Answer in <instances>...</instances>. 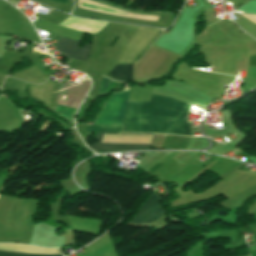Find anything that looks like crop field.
Listing matches in <instances>:
<instances>
[{
	"mask_svg": "<svg viewBox=\"0 0 256 256\" xmlns=\"http://www.w3.org/2000/svg\"><path fill=\"white\" fill-rule=\"evenodd\" d=\"M149 102H128L122 126L88 125L94 132H141ZM186 103L153 95L142 132L190 136L185 121Z\"/></svg>",
	"mask_w": 256,
	"mask_h": 256,
	"instance_id": "obj_1",
	"label": "crop field"
},
{
	"mask_svg": "<svg viewBox=\"0 0 256 256\" xmlns=\"http://www.w3.org/2000/svg\"><path fill=\"white\" fill-rule=\"evenodd\" d=\"M104 134H109V133H97L94 138L99 141L88 147H90L96 153H99V151H123V150L149 149L153 141V138L155 136L153 135L152 137V136H128V135H104ZM129 135H136V134H129ZM151 137H152V140H151ZM150 140H151V143H150ZM100 141L101 143H125V144H149L150 143V145L99 144Z\"/></svg>",
	"mask_w": 256,
	"mask_h": 256,
	"instance_id": "obj_2",
	"label": "crop field"
},
{
	"mask_svg": "<svg viewBox=\"0 0 256 256\" xmlns=\"http://www.w3.org/2000/svg\"><path fill=\"white\" fill-rule=\"evenodd\" d=\"M162 199L156 195L152 194L148 200L141 205L138 210L136 217L129 223V225L134 226H146L161 215L165 214V210L159 206V202Z\"/></svg>",
	"mask_w": 256,
	"mask_h": 256,
	"instance_id": "obj_3",
	"label": "crop field"
},
{
	"mask_svg": "<svg viewBox=\"0 0 256 256\" xmlns=\"http://www.w3.org/2000/svg\"><path fill=\"white\" fill-rule=\"evenodd\" d=\"M79 45H80V42L60 37L56 46V50L65 53L64 56L68 58L86 62L90 45L87 44L82 49L79 48Z\"/></svg>",
	"mask_w": 256,
	"mask_h": 256,
	"instance_id": "obj_4",
	"label": "crop field"
},
{
	"mask_svg": "<svg viewBox=\"0 0 256 256\" xmlns=\"http://www.w3.org/2000/svg\"><path fill=\"white\" fill-rule=\"evenodd\" d=\"M111 74L113 79L132 81V64L115 65Z\"/></svg>",
	"mask_w": 256,
	"mask_h": 256,
	"instance_id": "obj_5",
	"label": "crop field"
},
{
	"mask_svg": "<svg viewBox=\"0 0 256 256\" xmlns=\"http://www.w3.org/2000/svg\"><path fill=\"white\" fill-rule=\"evenodd\" d=\"M0 256H49V255L20 254V253H9V252L0 251Z\"/></svg>",
	"mask_w": 256,
	"mask_h": 256,
	"instance_id": "obj_6",
	"label": "crop field"
},
{
	"mask_svg": "<svg viewBox=\"0 0 256 256\" xmlns=\"http://www.w3.org/2000/svg\"><path fill=\"white\" fill-rule=\"evenodd\" d=\"M248 67L256 68V55L249 58Z\"/></svg>",
	"mask_w": 256,
	"mask_h": 256,
	"instance_id": "obj_7",
	"label": "crop field"
},
{
	"mask_svg": "<svg viewBox=\"0 0 256 256\" xmlns=\"http://www.w3.org/2000/svg\"><path fill=\"white\" fill-rule=\"evenodd\" d=\"M55 1L61 2V3H65V4H66V2H67V0H55Z\"/></svg>",
	"mask_w": 256,
	"mask_h": 256,
	"instance_id": "obj_8",
	"label": "crop field"
}]
</instances>
